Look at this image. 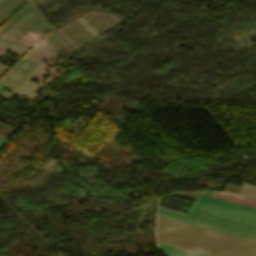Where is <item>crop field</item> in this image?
Here are the masks:
<instances>
[{
	"instance_id": "8a807250",
	"label": "crop field",
	"mask_w": 256,
	"mask_h": 256,
	"mask_svg": "<svg viewBox=\"0 0 256 256\" xmlns=\"http://www.w3.org/2000/svg\"><path fill=\"white\" fill-rule=\"evenodd\" d=\"M156 240L211 256H256L255 241L159 215Z\"/></svg>"
},
{
	"instance_id": "ac0d7876",
	"label": "crop field",
	"mask_w": 256,
	"mask_h": 256,
	"mask_svg": "<svg viewBox=\"0 0 256 256\" xmlns=\"http://www.w3.org/2000/svg\"><path fill=\"white\" fill-rule=\"evenodd\" d=\"M158 214L256 241V209L200 195L190 215L159 208Z\"/></svg>"
},
{
	"instance_id": "34b2d1b8",
	"label": "crop field",
	"mask_w": 256,
	"mask_h": 256,
	"mask_svg": "<svg viewBox=\"0 0 256 256\" xmlns=\"http://www.w3.org/2000/svg\"><path fill=\"white\" fill-rule=\"evenodd\" d=\"M216 197L256 208V199L245 197L235 193H231L227 191L218 192Z\"/></svg>"
},
{
	"instance_id": "412701ff",
	"label": "crop field",
	"mask_w": 256,
	"mask_h": 256,
	"mask_svg": "<svg viewBox=\"0 0 256 256\" xmlns=\"http://www.w3.org/2000/svg\"><path fill=\"white\" fill-rule=\"evenodd\" d=\"M160 248L168 255V256H208L196 252H192L189 250L177 248L174 246L158 243Z\"/></svg>"
}]
</instances>
